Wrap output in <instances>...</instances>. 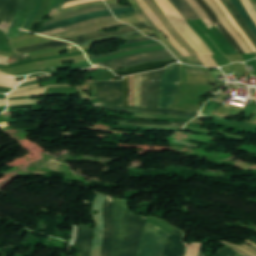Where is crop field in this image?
<instances>
[{
  "label": "crop field",
  "mask_w": 256,
  "mask_h": 256,
  "mask_svg": "<svg viewBox=\"0 0 256 256\" xmlns=\"http://www.w3.org/2000/svg\"><path fill=\"white\" fill-rule=\"evenodd\" d=\"M146 219L129 211L126 200L115 198V235L111 256H136Z\"/></svg>",
  "instance_id": "obj_1"
},
{
  "label": "crop field",
  "mask_w": 256,
  "mask_h": 256,
  "mask_svg": "<svg viewBox=\"0 0 256 256\" xmlns=\"http://www.w3.org/2000/svg\"><path fill=\"white\" fill-rule=\"evenodd\" d=\"M165 70V69H164ZM164 70L154 71L148 73V104L147 109L137 108V107H118V106H106L101 104H96V107L110 109V110H129L136 111L139 113H156V114H175V115H184V116H198L201 111L186 113L174 110H164L158 109V100H159V88L161 83V75Z\"/></svg>",
  "instance_id": "obj_2"
},
{
  "label": "crop field",
  "mask_w": 256,
  "mask_h": 256,
  "mask_svg": "<svg viewBox=\"0 0 256 256\" xmlns=\"http://www.w3.org/2000/svg\"><path fill=\"white\" fill-rule=\"evenodd\" d=\"M169 235L161 228L147 223L137 256H162Z\"/></svg>",
  "instance_id": "obj_3"
},
{
  "label": "crop field",
  "mask_w": 256,
  "mask_h": 256,
  "mask_svg": "<svg viewBox=\"0 0 256 256\" xmlns=\"http://www.w3.org/2000/svg\"><path fill=\"white\" fill-rule=\"evenodd\" d=\"M168 59H175V57L167 50H159L144 54H137V55H131L127 56L125 58L95 64L94 66H103L108 67L110 70L115 71L120 67H131L135 65H139L146 62L151 61H158V60H168Z\"/></svg>",
  "instance_id": "obj_4"
},
{
  "label": "crop field",
  "mask_w": 256,
  "mask_h": 256,
  "mask_svg": "<svg viewBox=\"0 0 256 256\" xmlns=\"http://www.w3.org/2000/svg\"><path fill=\"white\" fill-rule=\"evenodd\" d=\"M136 10L137 13L133 14H126V15H118L115 16L116 18H127L139 15L145 24L150 28L152 32L145 33L147 36L155 34L163 43L164 45L175 55V57L185 64H192V65H202V63L199 61L197 57H183L179 51L163 36V34L154 26V24L151 22V20L146 16V14L140 9V7L137 5L135 0H129Z\"/></svg>",
  "instance_id": "obj_5"
},
{
  "label": "crop field",
  "mask_w": 256,
  "mask_h": 256,
  "mask_svg": "<svg viewBox=\"0 0 256 256\" xmlns=\"http://www.w3.org/2000/svg\"><path fill=\"white\" fill-rule=\"evenodd\" d=\"M179 85V68L166 69L162 75L159 108L170 109Z\"/></svg>",
  "instance_id": "obj_6"
},
{
  "label": "crop field",
  "mask_w": 256,
  "mask_h": 256,
  "mask_svg": "<svg viewBox=\"0 0 256 256\" xmlns=\"http://www.w3.org/2000/svg\"><path fill=\"white\" fill-rule=\"evenodd\" d=\"M173 26L183 38L196 50L199 56L213 55L204 41L188 26L185 19L180 16H167Z\"/></svg>",
  "instance_id": "obj_7"
},
{
  "label": "crop field",
  "mask_w": 256,
  "mask_h": 256,
  "mask_svg": "<svg viewBox=\"0 0 256 256\" xmlns=\"http://www.w3.org/2000/svg\"><path fill=\"white\" fill-rule=\"evenodd\" d=\"M113 201L114 197L108 196L103 209L105 230L102 242L101 256H110L111 254V247L114 235V223L112 213Z\"/></svg>",
  "instance_id": "obj_8"
},
{
  "label": "crop field",
  "mask_w": 256,
  "mask_h": 256,
  "mask_svg": "<svg viewBox=\"0 0 256 256\" xmlns=\"http://www.w3.org/2000/svg\"><path fill=\"white\" fill-rule=\"evenodd\" d=\"M37 0H19L17 12L7 34L9 39L18 37L27 19L32 14Z\"/></svg>",
  "instance_id": "obj_9"
},
{
  "label": "crop field",
  "mask_w": 256,
  "mask_h": 256,
  "mask_svg": "<svg viewBox=\"0 0 256 256\" xmlns=\"http://www.w3.org/2000/svg\"><path fill=\"white\" fill-rule=\"evenodd\" d=\"M99 103L106 105L122 104V81L121 82H97Z\"/></svg>",
  "instance_id": "obj_10"
},
{
  "label": "crop field",
  "mask_w": 256,
  "mask_h": 256,
  "mask_svg": "<svg viewBox=\"0 0 256 256\" xmlns=\"http://www.w3.org/2000/svg\"><path fill=\"white\" fill-rule=\"evenodd\" d=\"M105 198H106V195L99 194L97 196V199L93 206V210H99L100 213L97 215H94L92 212V214L97 222V226H96L95 232H94L93 245H92V256H100L101 241H102V235H103V230H104L103 218H102V208L104 205Z\"/></svg>",
  "instance_id": "obj_11"
},
{
  "label": "crop field",
  "mask_w": 256,
  "mask_h": 256,
  "mask_svg": "<svg viewBox=\"0 0 256 256\" xmlns=\"http://www.w3.org/2000/svg\"><path fill=\"white\" fill-rule=\"evenodd\" d=\"M185 233L175 229L169 236L163 256H185L187 247L183 242Z\"/></svg>",
  "instance_id": "obj_12"
},
{
  "label": "crop field",
  "mask_w": 256,
  "mask_h": 256,
  "mask_svg": "<svg viewBox=\"0 0 256 256\" xmlns=\"http://www.w3.org/2000/svg\"><path fill=\"white\" fill-rule=\"evenodd\" d=\"M94 229L80 225L75 246H79V256H91L92 235Z\"/></svg>",
  "instance_id": "obj_13"
},
{
  "label": "crop field",
  "mask_w": 256,
  "mask_h": 256,
  "mask_svg": "<svg viewBox=\"0 0 256 256\" xmlns=\"http://www.w3.org/2000/svg\"><path fill=\"white\" fill-rule=\"evenodd\" d=\"M207 5L215 12L217 15L219 21L222 23V25L229 31V33L236 39L239 46L242 48V50L245 52V54L252 53L251 50L248 48L246 43L243 41V39L240 37V35L233 29L229 21L224 17L220 9L217 7V5L213 2V0H204Z\"/></svg>",
  "instance_id": "obj_14"
},
{
  "label": "crop field",
  "mask_w": 256,
  "mask_h": 256,
  "mask_svg": "<svg viewBox=\"0 0 256 256\" xmlns=\"http://www.w3.org/2000/svg\"><path fill=\"white\" fill-rule=\"evenodd\" d=\"M108 15H112L110 11L90 13V14H87V15H84V16L59 21L57 23L51 24L49 26H46V27L36 31V33L45 32V31H49V30H53V29H57V28H62V27H66V26L76 24L78 22H81V21H84V20H87V19L101 17V16H108Z\"/></svg>",
  "instance_id": "obj_15"
},
{
  "label": "crop field",
  "mask_w": 256,
  "mask_h": 256,
  "mask_svg": "<svg viewBox=\"0 0 256 256\" xmlns=\"http://www.w3.org/2000/svg\"><path fill=\"white\" fill-rule=\"evenodd\" d=\"M138 4L141 6L143 11L148 15V17L155 23V25L163 32V34L178 48L183 56L189 55L186 50L168 33L159 19L154 15V13L149 9L148 5L144 0H137Z\"/></svg>",
  "instance_id": "obj_16"
},
{
  "label": "crop field",
  "mask_w": 256,
  "mask_h": 256,
  "mask_svg": "<svg viewBox=\"0 0 256 256\" xmlns=\"http://www.w3.org/2000/svg\"><path fill=\"white\" fill-rule=\"evenodd\" d=\"M18 0H0V25L10 26Z\"/></svg>",
  "instance_id": "obj_17"
},
{
  "label": "crop field",
  "mask_w": 256,
  "mask_h": 256,
  "mask_svg": "<svg viewBox=\"0 0 256 256\" xmlns=\"http://www.w3.org/2000/svg\"><path fill=\"white\" fill-rule=\"evenodd\" d=\"M176 62H177L176 60H173V61H165V62L146 63V64L135 66L132 68L115 71V73L120 76H125V75L140 73L148 70L162 69Z\"/></svg>",
  "instance_id": "obj_18"
},
{
  "label": "crop field",
  "mask_w": 256,
  "mask_h": 256,
  "mask_svg": "<svg viewBox=\"0 0 256 256\" xmlns=\"http://www.w3.org/2000/svg\"><path fill=\"white\" fill-rule=\"evenodd\" d=\"M120 29L122 31L113 32V33H109V34H105V35H103V32L100 31V32L86 34V35H82V36H78V37H74V38H69V39H65V40L70 41L74 44H78V43H83V42H87V41H91V40H95V39H100V38H104V37H108V36H112V35H117V34L136 31L134 28H132L130 26L120 27Z\"/></svg>",
  "instance_id": "obj_19"
},
{
  "label": "crop field",
  "mask_w": 256,
  "mask_h": 256,
  "mask_svg": "<svg viewBox=\"0 0 256 256\" xmlns=\"http://www.w3.org/2000/svg\"><path fill=\"white\" fill-rule=\"evenodd\" d=\"M200 6L204 9L207 13L209 18L213 21L214 25L221 31V33L226 37V39L232 44V46L236 49L238 54H244L243 51L240 49L238 44L235 40L231 37V35L226 31V29L219 23L217 17L215 16L214 12L206 5L203 0H196Z\"/></svg>",
  "instance_id": "obj_20"
},
{
  "label": "crop field",
  "mask_w": 256,
  "mask_h": 256,
  "mask_svg": "<svg viewBox=\"0 0 256 256\" xmlns=\"http://www.w3.org/2000/svg\"><path fill=\"white\" fill-rule=\"evenodd\" d=\"M103 10H108L106 5L94 6V7H89V8H85V9H81V10H77V11L64 13V14L58 15V16L50 19L48 22L43 24V27L50 24V23H53V22H56V21H59V20H62V19L71 18V17H75V16H80V15H84V14H87V13H90V12H95V11H103Z\"/></svg>",
  "instance_id": "obj_21"
},
{
  "label": "crop field",
  "mask_w": 256,
  "mask_h": 256,
  "mask_svg": "<svg viewBox=\"0 0 256 256\" xmlns=\"http://www.w3.org/2000/svg\"><path fill=\"white\" fill-rule=\"evenodd\" d=\"M67 45H71V44L67 43V42H61V41L39 44V45H34V46L25 47V48H21V49H15V50H13L14 51L13 55L14 54L20 55L23 53L36 52V51H40V50H44V49L63 47V46H67Z\"/></svg>",
  "instance_id": "obj_22"
},
{
  "label": "crop field",
  "mask_w": 256,
  "mask_h": 256,
  "mask_svg": "<svg viewBox=\"0 0 256 256\" xmlns=\"http://www.w3.org/2000/svg\"><path fill=\"white\" fill-rule=\"evenodd\" d=\"M219 105H220V103H218V102H216V101H213V100H210V101L206 104V106H205V108H204V110H203V112H202V114H201L200 116L217 118V119H219V120H221V121H225V122H228V123H232V124H236V125H241V126L256 127V125H253V124L240 123V122H233V121L225 120V119L220 118V117L215 116V115H211V114L216 110V108H217Z\"/></svg>",
  "instance_id": "obj_23"
},
{
  "label": "crop field",
  "mask_w": 256,
  "mask_h": 256,
  "mask_svg": "<svg viewBox=\"0 0 256 256\" xmlns=\"http://www.w3.org/2000/svg\"><path fill=\"white\" fill-rule=\"evenodd\" d=\"M188 20L200 19L186 0H170Z\"/></svg>",
  "instance_id": "obj_24"
},
{
  "label": "crop field",
  "mask_w": 256,
  "mask_h": 256,
  "mask_svg": "<svg viewBox=\"0 0 256 256\" xmlns=\"http://www.w3.org/2000/svg\"><path fill=\"white\" fill-rule=\"evenodd\" d=\"M64 86H70V85L54 84V85L41 86V87H37V88H33V89L21 91V92L9 94L8 98H14V97H20V96H29V95H40V94H44V92L46 91L47 88L64 87Z\"/></svg>",
  "instance_id": "obj_25"
},
{
  "label": "crop field",
  "mask_w": 256,
  "mask_h": 256,
  "mask_svg": "<svg viewBox=\"0 0 256 256\" xmlns=\"http://www.w3.org/2000/svg\"><path fill=\"white\" fill-rule=\"evenodd\" d=\"M226 6L229 8V10L231 11V13L233 14V16L235 17V19L237 20V22L240 24V26L245 30V32L250 36V38L252 39V41L255 43L256 45V37L255 35L250 31V29L247 27V25L245 24L244 20L242 19V17L240 16V14L238 13V11L236 10V8L234 7V5L231 3L230 0H222Z\"/></svg>",
  "instance_id": "obj_26"
},
{
  "label": "crop field",
  "mask_w": 256,
  "mask_h": 256,
  "mask_svg": "<svg viewBox=\"0 0 256 256\" xmlns=\"http://www.w3.org/2000/svg\"><path fill=\"white\" fill-rule=\"evenodd\" d=\"M109 19H115L114 16H109V17H102V18H96V19H91V20H87L85 22L70 26V27H66V28H62V29H58V30H54V31H50V32H45V33H40L42 35H47V34H55V33H61V32H65L68 30H72V29H76V28H80V27H84L93 23H97V22H101V21H105V20H109Z\"/></svg>",
  "instance_id": "obj_27"
},
{
  "label": "crop field",
  "mask_w": 256,
  "mask_h": 256,
  "mask_svg": "<svg viewBox=\"0 0 256 256\" xmlns=\"http://www.w3.org/2000/svg\"><path fill=\"white\" fill-rule=\"evenodd\" d=\"M233 2V4L235 5V7L237 8V10L239 11V13L241 14V16L243 17V19L245 20V22L247 23L248 27L252 30V32L256 35V25L254 24V22L251 20L249 14L247 13V11L245 10V8L243 7V5L240 3L239 0H231Z\"/></svg>",
  "instance_id": "obj_28"
},
{
  "label": "crop field",
  "mask_w": 256,
  "mask_h": 256,
  "mask_svg": "<svg viewBox=\"0 0 256 256\" xmlns=\"http://www.w3.org/2000/svg\"><path fill=\"white\" fill-rule=\"evenodd\" d=\"M189 4L194 8V10L199 14V16L203 19V21L206 23V25L209 27V29L212 27V22L208 18V16L205 14L203 9L199 6V4L195 0H187Z\"/></svg>",
  "instance_id": "obj_29"
},
{
  "label": "crop field",
  "mask_w": 256,
  "mask_h": 256,
  "mask_svg": "<svg viewBox=\"0 0 256 256\" xmlns=\"http://www.w3.org/2000/svg\"><path fill=\"white\" fill-rule=\"evenodd\" d=\"M160 45H161L160 43H156V44L138 46V47H133V48H128V49L119 50V51L114 52V53H109V54L99 55V56H95V57H90V58H88V59H89V60L99 59V58H104V57H109V56L117 55V54H120V53H123V52H127V51H131V50H136V49H141V48H147V47H153V46H160Z\"/></svg>",
  "instance_id": "obj_30"
},
{
  "label": "crop field",
  "mask_w": 256,
  "mask_h": 256,
  "mask_svg": "<svg viewBox=\"0 0 256 256\" xmlns=\"http://www.w3.org/2000/svg\"><path fill=\"white\" fill-rule=\"evenodd\" d=\"M21 82H22V81L16 83L15 77L12 78V76H10V75H3V74H0V86L15 88V87L18 86Z\"/></svg>",
  "instance_id": "obj_31"
},
{
  "label": "crop field",
  "mask_w": 256,
  "mask_h": 256,
  "mask_svg": "<svg viewBox=\"0 0 256 256\" xmlns=\"http://www.w3.org/2000/svg\"><path fill=\"white\" fill-rule=\"evenodd\" d=\"M141 74L135 75V106L140 107Z\"/></svg>",
  "instance_id": "obj_32"
},
{
  "label": "crop field",
  "mask_w": 256,
  "mask_h": 256,
  "mask_svg": "<svg viewBox=\"0 0 256 256\" xmlns=\"http://www.w3.org/2000/svg\"><path fill=\"white\" fill-rule=\"evenodd\" d=\"M146 91H147V74H142V107L146 108L147 98H146Z\"/></svg>",
  "instance_id": "obj_33"
},
{
  "label": "crop field",
  "mask_w": 256,
  "mask_h": 256,
  "mask_svg": "<svg viewBox=\"0 0 256 256\" xmlns=\"http://www.w3.org/2000/svg\"><path fill=\"white\" fill-rule=\"evenodd\" d=\"M41 3H42V0H38L36 8H35L33 14L30 16V18H29V20H28V22H27V24H26L24 29H26V30L28 29L29 25L31 24V22L35 18L36 14L38 13V11H39V9L41 7ZM25 33H26V31L22 30V32L20 33L19 37L24 36Z\"/></svg>",
  "instance_id": "obj_34"
},
{
  "label": "crop field",
  "mask_w": 256,
  "mask_h": 256,
  "mask_svg": "<svg viewBox=\"0 0 256 256\" xmlns=\"http://www.w3.org/2000/svg\"><path fill=\"white\" fill-rule=\"evenodd\" d=\"M186 72L210 75L207 68L194 67V66H188V65H186Z\"/></svg>",
  "instance_id": "obj_35"
},
{
  "label": "crop field",
  "mask_w": 256,
  "mask_h": 256,
  "mask_svg": "<svg viewBox=\"0 0 256 256\" xmlns=\"http://www.w3.org/2000/svg\"><path fill=\"white\" fill-rule=\"evenodd\" d=\"M200 248V243H192L187 251L186 256H198Z\"/></svg>",
  "instance_id": "obj_36"
},
{
  "label": "crop field",
  "mask_w": 256,
  "mask_h": 256,
  "mask_svg": "<svg viewBox=\"0 0 256 256\" xmlns=\"http://www.w3.org/2000/svg\"><path fill=\"white\" fill-rule=\"evenodd\" d=\"M115 123L119 124H125V125H135V126H149V127H162V128H179L182 129L184 126H160V125H153V124H136V123H125V122H117Z\"/></svg>",
  "instance_id": "obj_37"
},
{
  "label": "crop field",
  "mask_w": 256,
  "mask_h": 256,
  "mask_svg": "<svg viewBox=\"0 0 256 256\" xmlns=\"http://www.w3.org/2000/svg\"><path fill=\"white\" fill-rule=\"evenodd\" d=\"M128 106V77L123 80V104Z\"/></svg>",
  "instance_id": "obj_38"
},
{
  "label": "crop field",
  "mask_w": 256,
  "mask_h": 256,
  "mask_svg": "<svg viewBox=\"0 0 256 256\" xmlns=\"http://www.w3.org/2000/svg\"><path fill=\"white\" fill-rule=\"evenodd\" d=\"M205 66L209 67H219L217 63L212 59L211 56L199 57Z\"/></svg>",
  "instance_id": "obj_39"
},
{
  "label": "crop field",
  "mask_w": 256,
  "mask_h": 256,
  "mask_svg": "<svg viewBox=\"0 0 256 256\" xmlns=\"http://www.w3.org/2000/svg\"><path fill=\"white\" fill-rule=\"evenodd\" d=\"M235 253H236L235 251L230 250L229 247H226L224 249H221L216 256H235ZM199 256H205V255L200 252Z\"/></svg>",
  "instance_id": "obj_40"
},
{
  "label": "crop field",
  "mask_w": 256,
  "mask_h": 256,
  "mask_svg": "<svg viewBox=\"0 0 256 256\" xmlns=\"http://www.w3.org/2000/svg\"><path fill=\"white\" fill-rule=\"evenodd\" d=\"M136 34H140V33H139V32H134V33H127V34L112 36V37H108V38H104V39H100V40H96V41H92V42H88V43L78 44L77 46L80 47V46L92 44V43H94V42L101 41V40H107V39H113V38H120V37H125V36H130V35H136Z\"/></svg>",
  "instance_id": "obj_41"
},
{
  "label": "crop field",
  "mask_w": 256,
  "mask_h": 256,
  "mask_svg": "<svg viewBox=\"0 0 256 256\" xmlns=\"http://www.w3.org/2000/svg\"><path fill=\"white\" fill-rule=\"evenodd\" d=\"M42 100H20V101H8L9 106L10 105H24V104H33V103H39Z\"/></svg>",
  "instance_id": "obj_42"
},
{
  "label": "crop field",
  "mask_w": 256,
  "mask_h": 256,
  "mask_svg": "<svg viewBox=\"0 0 256 256\" xmlns=\"http://www.w3.org/2000/svg\"><path fill=\"white\" fill-rule=\"evenodd\" d=\"M241 2L243 3V5L245 6V8L247 9V11L249 12L250 16L252 17V19L254 20V22L256 24V14L253 11V9L251 8L248 1L247 0H241Z\"/></svg>",
  "instance_id": "obj_43"
},
{
  "label": "crop field",
  "mask_w": 256,
  "mask_h": 256,
  "mask_svg": "<svg viewBox=\"0 0 256 256\" xmlns=\"http://www.w3.org/2000/svg\"><path fill=\"white\" fill-rule=\"evenodd\" d=\"M99 4H104V2L96 3V4L81 5V6H77V7L71 8V9L58 11V12H55V13H54V15H53L52 17H54V16H56V15H58V14L62 13V12H65V11L76 10V9H80V8H84V7H88V6L99 5ZM52 17H51V18H52Z\"/></svg>",
  "instance_id": "obj_44"
},
{
  "label": "crop field",
  "mask_w": 256,
  "mask_h": 256,
  "mask_svg": "<svg viewBox=\"0 0 256 256\" xmlns=\"http://www.w3.org/2000/svg\"><path fill=\"white\" fill-rule=\"evenodd\" d=\"M123 120V119H118ZM123 121H130V122H139V123H155V124H176V125H186L187 123H168V122H146V121H135V120H123Z\"/></svg>",
  "instance_id": "obj_45"
},
{
  "label": "crop field",
  "mask_w": 256,
  "mask_h": 256,
  "mask_svg": "<svg viewBox=\"0 0 256 256\" xmlns=\"http://www.w3.org/2000/svg\"><path fill=\"white\" fill-rule=\"evenodd\" d=\"M112 12L114 13V15H118V14L133 13L135 11L132 7V8H127V9L112 10Z\"/></svg>",
  "instance_id": "obj_46"
},
{
  "label": "crop field",
  "mask_w": 256,
  "mask_h": 256,
  "mask_svg": "<svg viewBox=\"0 0 256 256\" xmlns=\"http://www.w3.org/2000/svg\"><path fill=\"white\" fill-rule=\"evenodd\" d=\"M140 116H151V115H141V114H136ZM151 117H172V118H185V119H193L195 117H183V116H171V115H162V116H151Z\"/></svg>",
  "instance_id": "obj_47"
},
{
  "label": "crop field",
  "mask_w": 256,
  "mask_h": 256,
  "mask_svg": "<svg viewBox=\"0 0 256 256\" xmlns=\"http://www.w3.org/2000/svg\"><path fill=\"white\" fill-rule=\"evenodd\" d=\"M150 43H156V41L152 40V41L143 42V43L129 44V45L122 46L119 49L133 47V46H138V45H144V44H150Z\"/></svg>",
  "instance_id": "obj_48"
},
{
  "label": "crop field",
  "mask_w": 256,
  "mask_h": 256,
  "mask_svg": "<svg viewBox=\"0 0 256 256\" xmlns=\"http://www.w3.org/2000/svg\"><path fill=\"white\" fill-rule=\"evenodd\" d=\"M240 246L244 247L245 249H247L248 251H250L251 253H253V254L256 255V249H255V248H253V247H251V246L245 244L244 242L241 243ZM242 247H241V248H242ZM244 248H243V249H244Z\"/></svg>",
  "instance_id": "obj_49"
},
{
  "label": "crop field",
  "mask_w": 256,
  "mask_h": 256,
  "mask_svg": "<svg viewBox=\"0 0 256 256\" xmlns=\"http://www.w3.org/2000/svg\"><path fill=\"white\" fill-rule=\"evenodd\" d=\"M63 0H57L55 3V6L53 7L49 17H51L53 15V13L61 6Z\"/></svg>",
  "instance_id": "obj_50"
},
{
  "label": "crop field",
  "mask_w": 256,
  "mask_h": 256,
  "mask_svg": "<svg viewBox=\"0 0 256 256\" xmlns=\"http://www.w3.org/2000/svg\"><path fill=\"white\" fill-rule=\"evenodd\" d=\"M132 26L138 28L139 30L147 28V26L144 24V22L133 24Z\"/></svg>",
  "instance_id": "obj_51"
},
{
  "label": "crop field",
  "mask_w": 256,
  "mask_h": 256,
  "mask_svg": "<svg viewBox=\"0 0 256 256\" xmlns=\"http://www.w3.org/2000/svg\"><path fill=\"white\" fill-rule=\"evenodd\" d=\"M145 36L143 34H140V35H136V36H131V37H127L128 39L127 40H131V39H138V38H144ZM126 38V37H125ZM125 38H120L124 41H126Z\"/></svg>",
  "instance_id": "obj_52"
},
{
  "label": "crop field",
  "mask_w": 256,
  "mask_h": 256,
  "mask_svg": "<svg viewBox=\"0 0 256 256\" xmlns=\"http://www.w3.org/2000/svg\"><path fill=\"white\" fill-rule=\"evenodd\" d=\"M91 87V91L93 94V99H96V87H95V83L90 84Z\"/></svg>",
  "instance_id": "obj_53"
},
{
  "label": "crop field",
  "mask_w": 256,
  "mask_h": 256,
  "mask_svg": "<svg viewBox=\"0 0 256 256\" xmlns=\"http://www.w3.org/2000/svg\"><path fill=\"white\" fill-rule=\"evenodd\" d=\"M7 57L0 56V65H8L7 64Z\"/></svg>",
  "instance_id": "obj_54"
},
{
  "label": "crop field",
  "mask_w": 256,
  "mask_h": 256,
  "mask_svg": "<svg viewBox=\"0 0 256 256\" xmlns=\"http://www.w3.org/2000/svg\"><path fill=\"white\" fill-rule=\"evenodd\" d=\"M110 9H116V8H126L128 6H121V5H118V4H113V5H109Z\"/></svg>",
  "instance_id": "obj_55"
},
{
  "label": "crop field",
  "mask_w": 256,
  "mask_h": 256,
  "mask_svg": "<svg viewBox=\"0 0 256 256\" xmlns=\"http://www.w3.org/2000/svg\"><path fill=\"white\" fill-rule=\"evenodd\" d=\"M37 86H39V84L33 85V86L24 87V88H18V89H15V90L12 91V92H16V91H20V90H24V89H29V88H33V87H37ZM12 92H11V93H12Z\"/></svg>",
  "instance_id": "obj_56"
},
{
  "label": "crop field",
  "mask_w": 256,
  "mask_h": 256,
  "mask_svg": "<svg viewBox=\"0 0 256 256\" xmlns=\"http://www.w3.org/2000/svg\"><path fill=\"white\" fill-rule=\"evenodd\" d=\"M48 76H51V75H42V76H38V77H35V78L26 79L24 82H28V81L36 80V79H38V78L48 77ZM24 82H23V83H24Z\"/></svg>",
  "instance_id": "obj_57"
},
{
  "label": "crop field",
  "mask_w": 256,
  "mask_h": 256,
  "mask_svg": "<svg viewBox=\"0 0 256 256\" xmlns=\"http://www.w3.org/2000/svg\"><path fill=\"white\" fill-rule=\"evenodd\" d=\"M148 40H151V39L145 38V39L133 40V41L126 42V44H128V43H135V42H142V41H148Z\"/></svg>",
  "instance_id": "obj_58"
},
{
  "label": "crop field",
  "mask_w": 256,
  "mask_h": 256,
  "mask_svg": "<svg viewBox=\"0 0 256 256\" xmlns=\"http://www.w3.org/2000/svg\"><path fill=\"white\" fill-rule=\"evenodd\" d=\"M223 243H227V242H223ZM228 244H230V243H228ZM230 245H232V246H234V247H237V246H235V245H233V244H230ZM237 248H239V247H237ZM239 249H241V248H239ZM242 251H244V252H246V253H248V254H250L251 256H254L253 254H251V253H249V252H247V251H245V250H243V249H241Z\"/></svg>",
  "instance_id": "obj_59"
},
{
  "label": "crop field",
  "mask_w": 256,
  "mask_h": 256,
  "mask_svg": "<svg viewBox=\"0 0 256 256\" xmlns=\"http://www.w3.org/2000/svg\"><path fill=\"white\" fill-rule=\"evenodd\" d=\"M0 106H7L6 100H0Z\"/></svg>",
  "instance_id": "obj_60"
},
{
  "label": "crop field",
  "mask_w": 256,
  "mask_h": 256,
  "mask_svg": "<svg viewBox=\"0 0 256 256\" xmlns=\"http://www.w3.org/2000/svg\"><path fill=\"white\" fill-rule=\"evenodd\" d=\"M245 242H247V243H249L250 245H252V246L256 247V244H255V243H253V242H251V241H249V240H247V241H245Z\"/></svg>",
  "instance_id": "obj_61"
},
{
  "label": "crop field",
  "mask_w": 256,
  "mask_h": 256,
  "mask_svg": "<svg viewBox=\"0 0 256 256\" xmlns=\"http://www.w3.org/2000/svg\"><path fill=\"white\" fill-rule=\"evenodd\" d=\"M251 2V4L254 6L255 10H256V3L254 0H249Z\"/></svg>",
  "instance_id": "obj_62"
},
{
  "label": "crop field",
  "mask_w": 256,
  "mask_h": 256,
  "mask_svg": "<svg viewBox=\"0 0 256 256\" xmlns=\"http://www.w3.org/2000/svg\"><path fill=\"white\" fill-rule=\"evenodd\" d=\"M112 3H118V0L117 1H108V2H106V4H112Z\"/></svg>",
  "instance_id": "obj_63"
},
{
  "label": "crop field",
  "mask_w": 256,
  "mask_h": 256,
  "mask_svg": "<svg viewBox=\"0 0 256 256\" xmlns=\"http://www.w3.org/2000/svg\"><path fill=\"white\" fill-rule=\"evenodd\" d=\"M250 240L256 242V238H254V237L250 238Z\"/></svg>",
  "instance_id": "obj_64"
},
{
  "label": "crop field",
  "mask_w": 256,
  "mask_h": 256,
  "mask_svg": "<svg viewBox=\"0 0 256 256\" xmlns=\"http://www.w3.org/2000/svg\"><path fill=\"white\" fill-rule=\"evenodd\" d=\"M0 93H9V92H3V91H0Z\"/></svg>",
  "instance_id": "obj_65"
},
{
  "label": "crop field",
  "mask_w": 256,
  "mask_h": 256,
  "mask_svg": "<svg viewBox=\"0 0 256 256\" xmlns=\"http://www.w3.org/2000/svg\"><path fill=\"white\" fill-rule=\"evenodd\" d=\"M71 1V0H65L64 2Z\"/></svg>",
  "instance_id": "obj_66"
},
{
  "label": "crop field",
  "mask_w": 256,
  "mask_h": 256,
  "mask_svg": "<svg viewBox=\"0 0 256 256\" xmlns=\"http://www.w3.org/2000/svg\"><path fill=\"white\" fill-rule=\"evenodd\" d=\"M228 9V8H227ZM229 11V10H228ZM230 12V11H229ZM235 29V28H234ZM236 30V29H235ZM237 31V30H236ZM238 32V31H237Z\"/></svg>",
  "instance_id": "obj_67"
},
{
  "label": "crop field",
  "mask_w": 256,
  "mask_h": 256,
  "mask_svg": "<svg viewBox=\"0 0 256 256\" xmlns=\"http://www.w3.org/2000/svg\"><path fill=\"white\" fill-rule=\"evenodd\" d=\"M157 5V4H156ZM158 6V5H157ZM161 10V9H160ZM162 11V10H161ZM163 12V11H162Z\"/></svg>",
  "instance_id": "obj_68"
},
{
  "label": "crop field",
  "mask_w": 256,
  "mask_h": 256,
  "mask_svg": "<svg viewBox=\"0 0 256 256\" xmlns=\"http://www.w3.org/2000/svg\"><path fill=\"white\" fill-rule=\"evenodd\" d=\"M63 4H64V3H63ZM63 4H62V5H63ZM61 7H62V6H61ZM61 7H60V8H61ZM60 8H59V9H60Z\"/></svg>",
  "instance_id": "obj_69"
},
{
  "label": "crop field",
  "mask_w": 256,
  "mask_h": 256,
  "mask_svg": "<svg viewBox=\"0 0 256 256\" xmlns=\"http://www.w3.org/2000/svg\"><path fill=\"white\" fill-rule=\"evenodd\" d=\"M1 73V72H0Z\"/></svg>",
  "instance_id": "obj_70"
}]
</instances>
